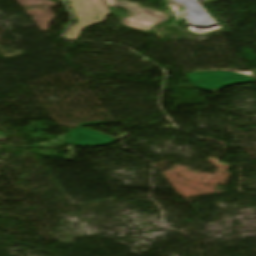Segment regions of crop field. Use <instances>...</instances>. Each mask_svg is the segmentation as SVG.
Instances as JSON below:
<instances>
[{"label":"crop field","instance_id":"8a807250","mask_svg":"<svg viewBox=\"0 0 256 256\" xmlns=\"http://www.w3.org/2000/svg\"><path fill=\"white\" fill-rule=\"evenodd\" d=\"M78 22L65 34L66 38L77 40L81 32L89 26L105 21L106 15L110 14L103 0H67Z\"/></svg>","mask_w":256,"mask_h":256},{"label":"crop field","instance_id":"ac0d7876","mask_svg":"<svg viewBox=\"0 0 256 256\" xmlns=\"http://www.w3.org/2000/svg\"><path fill=\"white\" fill-rule=\"evenodd\" d=\"M109 7L121 6L135 14L123 18L122 23L124 26L135 28L138 30L146 31L152 28L153 25H157L165 20L167 16L165 13L137 7L134 4L118 1V0H105Z\"/></svg>","mask_w":256,"mask_h":256},{"label":"crop field","instance_id":"34b2d1b8","mask_svg":"<svg viewBox=\"0 0 256 256\" xmlns=\"http://www.w3.org/2000/svg\"><path fill=\"white\" fill-rule=\"evenodd\" d=\"M196 87L219 91L223 87L232 84L256 82V78L234 72H199L187 75ZM202 81L198 83V81ZM203 84H206L204 86ZM218 88V90H216Z\"/></svg>","mask_w":256,"mask_h":256},{"label":"crop field","instance_id":"412701ff","mask_svg":"<svg viewBox=\"0 0 256 256\" xmlns=\"http://www.w3.org/2000/svg\"><path fill=\"white\" fill-rule=\"evenodd\" d=\"M101 123H107V122H94V123H81L78 125L76 130H72L73 132L67 134L70 136L75 143H72L65 135L63 138H65L68 142V144H76V145H87V146H97L102 144H110L113 143L116 138L93 132L90 130H86L83 128H80L82 125H89V124H101Z\"/></svg>","mask_w":256,"mask_h":256},{"label":"crop field","instance_id":"f4fd0767","mask_svg":"<svg viewBox=\"0 0 256 256\" xmlns=\"http://www.w3.org/2000/svg\"><path fill=\"white\" fill-rule=\"evenodd\" d=\"M60 1H62V0H60Z\"/></svg>","mask_w":256,"mask_h":256}]
</instances>
